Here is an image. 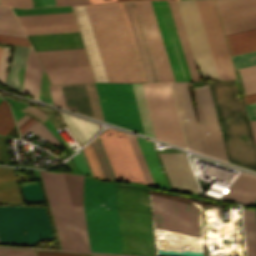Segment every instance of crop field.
<instances>
[{
	"label": "crop field",
	"mask_w": 256,
	"mask_h": 256,
	"mask_svg": "<svg viewBox=\"0 0 256 256\" xmlns=\"http://www.w3.org/2000/svg\"><path fill=\"white\" fill-rule=\"evenodd\" d=\"M114 188L123 254L155 256L148 190ZM114 188L85 177L83 203L91 251L122 254Z\"/></svg>",
	"instance_id": "crop-field-1"
},
{
	"label": "crop field",
	"mask_w": 256,
	"mask_h": 256,
	"mask_svg": "<svg viewBox=\"0 0 256 256\" xmlns=\"http://www.w3.org/2000/svg\"><path fill=\"white\" fill-rule=\"evenodd\" d=\"M86 6L109 81L142 82L118 4Z\"/></svg>",
	"instance_id": "crop-field-2"
},
{
	"label": "crop field",
	"mask_w": 256,
	"mask_h": 256,
	"mask_svg": "<svg viewBox=\"0 0 256 256\" xmlns=\"http://www.w3.org/2000/svg\"><path fill=\"white\" fill-rule=\"evenodd\" d=\"M171 85L188 148L227 162L208 85L192 88L198 123L186 82Z\"/></svg>",
	"instance_id": "crop-field-3"
},
{
	"label": "crop field",
	"mask_w": 256,
	"mask_h": 256,
	"mask_svg": "<svg viewBox=\"0 0 256 256\" xmlns=\"http://www.w3.org/2000/svg\"><path fill=\"white\" fill-rule=\"evenodd\" d=\"M210 86L230 162L256 170L252 132L235 81H219Z\"/></svg>",
	"instance_id": "crop-field-4"
},
{
	"label": "crop field",
	"mask_w": 256,
	"mask_h": 256,
	"mask_svg": "<svg viewBox=\"0 0 256 256\" xmlns=\"http://www.w3.org/2000/svg\"><path fill=\"white\" fill-rule=\"evenodd\" d=\"M40 173L62 248L90 251L83 206H72L62 173Z\"/></svg>",
	"instance_id": "crop-field-5"
},
{
	"label": "crop field",
	"mask_w": 256,
	"mask_h": 256,
	"mask_svg": "<svg viewBox=\"0 0 256 256\" xmlns=\"http://www.w3.org/2000/svg\"><path fill=\"white\" fill-rule=\"evenodd\" d=\"M118 4L142 81H164L140 2H120Z\"/></svg>",
	"instance_id": "crop-field-6"
},
{
	"label": "crop field",
	"mask_w": 256,
	"mask_h": 256,
	"mask_svg": "<svg viewBox=\"0 0 256 256\" xmlns=\"http://www.w3.org/2000/svg\"><path fill=\"white\" fill-rule=\"evenodd\" d=\"M142 85L155 137L186 147L169 83Z\"/></svg>",
	"instance_id": "crop-field-7"
},
{
	"label": "crop field",
	"mask_w": 256,
	"mask_h": 256,
	"mask_svg": "<svg viewBox=\"0 0 256 256\" xmlns=\"http://www.w3.org/2000/svg\"><path fill=\"white\" fill-rule=\"evenodd\" d=\"M95 84H96L104 120L106 122L114 123L121 126V119H122L123 127L125 122L126 128L143 133L132 85L121 84L123 111H124V122H123L120 84H119V91H120L121 119H120L118 84H106V83H95Z\"/></svg>",
	"instance_id": "crop-field-8"
},
{
	"label": "crop field",
	"mask_w": 256,
	"mask_h": 256,
	"mask_svg": "<svg viewBox=\"0 0 256 256\" xmlns=\"http://www.w3.org/2000/svg\"><path fill=\"white\" fill-rule=\"evenodd\" d=\"M188 44L203 77L218 79L194 1H175Z\"/></svg>",
	"instance_id": "crop-field-9"
},
{
	"label": "crop field",
	"mask_w": 256,
	"mask_h": 256,
	"mask_svg": "<svg viewBox=\"0 0 256 256\" xmlns=\"http://www.w3.org/2000/svg\"><path fill=\"white\" fill-rule=\"evenodd\" d=\"M221 80L235 78L227 44L213 0L195 1Z\"/></svg>",
	"instance_id": "crop-field-10"
},
{
	"label": "crop field",
	"mask_w": 256,
	"mask_h": 256,
	"mask_svg": "<svg viewBox=\"0 0 256 256\" xmlns=\"http://www.w3.org/2000/svg\"><path fill=\"white\" fill-rule=\"evenodd\" d=\"M99 136L119 179L146 184L126 134L107 129Z\"/></svg>",
	"instance_id": "crop-field-11"
},
{
	"label": "crop field",
	"mask_w": 256,
	"mask_h": 256,
	"mask_svg": "<svg viewBox=\"0 0 256 256\" xmlns=\"http://www.w3.org/2000/svg\"><path fill=\"white\" fill-rule=\"evenodd\" d=\"M176 81H191L167 1H151Z\"/></svg>",
	"instance_id": "crop-field-12"
},
{
	"label": "crop field",
	"mask_w": 256,
	"mask_h": 256,
	"mask_svg": "<svg viewBox=\"0 0 256 256\" xmlns=\"http://www.w3.org/2000/svg\"><path fill=\"white\" fill-rule=\"evenodd\" d=\"M154 200L160 229L199 232L196 205L156 197Z\"/></svg>",
	"instance_id": "crop-field-13"
},
{
	"label": "crop field",
	"mask_w": 256,
	"mask_h": 256,
	"mask_svg": "<svg viewBox=\"0 0 256 256\" xmlns=\"http://www.w3.org/2000/svg\"><path fill=\"white\" fill-rule=\"evenodd\" d=\"M95 81L109 82L85 5L72 6Z\"/></svg>",
	"instance_id": "crop-field-14"
},
{
	"label": "crop field",
	"mask_w": 256,
	"mask_h": 256,
	"mask_svg": "<svg viewBox=\"0 0 256 256\" xmlns=\"http://www.w3.org/2000/svg\"><path fill=\"white\" fill-rule=\"evenodd\" d=\"M159 155L173 189L201 194L183 152Z\"/></svg>",
	"instance_id": "crop-field-15"
},
{
	"label": "crop field",
	"mask_w": 256,
	"mask_h": 256,
	"mask_svg": "<svg viewBox=\"0 0 256 256\" xmlns=\"http://www.w3.org/2000/svg\"><path fill=\"white\" fill-rule=\"evenodd\" d=\"M42 66L33 50L30 48L26 61L23 92L38 98ZM54 105L65 107L60 85L48 86Z\"/></svg>",
	"instance_id": "crop-field-16"
},
{
	"label": "crop field",
	"mask_w": 256,
	"mask_h": 256,
	"mask_svg": "<svg viewBox=\"0 0 256 256\" xmlns=\"http://www.w3.org/2000/svg\"><path fill=\"white\" fill-rule=\"evenodd\" d=\"M218 12L225 34L256 28V3Z\"/></svg>",
	"instance_id": "crop-field-17"
},
{
	"label": "crop field",
	"mask_w": 256,
	"mask_h": 256,
	"mask_svg": "<svg viewBox=\"0 0 256 256\" xmlns=\"http://www.w3.org/2000/svg\"><path fill=\"white\" fill-rule=\"evenodd\" d=\"M27 37L35 51L83 48L78 32Z\"/></svg>",
	"instance_id": "crop-field-18"
},
{
	"label": "crop field",
	"mask_w": 256,
	"mask_h": 256,
	"mask_svg": "<svg viewBox=\"0 0 256 256\" xmlns=\"http://www.w3.org/2000/svg\"><path fill=\"white\" fill-rule=\"evenodd\" d=\"M165 81H175L150 1H140Z\"/></svg>",
	"instance_id": "crop-field-19"
},
{
	"label": "crop field",
	"mask_w": 256,
	"mask_h": 256,
	"mask_svg": "<svg viewBox=\"0 0 256 256\" xmlns=\"http://www.w3.org/2000/svg\"><path fill=\"white\" fill-rule=\"evenodd\" d=\"M36 53L43 68L88 65L83 49Z\"/></svg>",
	"instance_id": "crop-field-20"
},
{
	"label": "crop field",
	"mask_w": 256,
	"mask_h": 256,
	"mask_svg": "<svg viewBox=\"0 0 256 256\" xmlns=\"http://www.w3.org/2000/svg\"><path fill=\"white\" fill-rule=\"evenodd\" d=\"M223 199L252 205L256 199V176L241 171Z\"/></svg>",
	"instance_id": "crop-field-21"
},
{
	"label": "crop field",
	"mask_w": 256,
	"mask_h": 256,
	"mask_svg": "<svg viewBox=\"0 0 256 256\" xmlns=\"http://www.w3.org/2000/svg\"><path fill=\"white\" fill-rule=\"evenodd\" d=\"M51 84L93 82L88 66L45 69Z\"/></svg>",
	"instance_id": "crop-field-22"
},
{
	"label": "crop field",
	"mask_w": 256,
	"mask_h": 256,
	"mask_svg": "<svg viewBox=\"0 0 256 256\" xmlns=\"http://www.w3.org/2000/svg\"><path fill=\"white\" fill-rule=\"evenodd\" d=\"M59 113L64 123L66 124V126L71 131V133L73 134V136L79 144L87 141L100 128V126L89 121L61 112Z\"/></svg>",
	"instance_id": "crop-field-23"
},
{
	"label": "crop field",
	"mask_w": 256,
	"mask_h": 256,
	"mask_svg": "<svg viewBox=\"0 0 256 256\" xmlns=\"http://www.w3.org/2000/svg\"><path fill=\"white\" fill-rule=\"evenodd\" d=\"M0 202L22 203L12 168L0 167Z\"/></svg>",
	"instance_id": "crop-field-24"
},
{
	"label": "crop field",
	"mask_w": 256,
	"mask_h": 256,
	"mask_svg": "<svg viewBox=\"0 0 256 256\" xmlns=\"http://www.w3.org/2000/svg\"><path fill=\"white\" fill-rule=\"evenodd\" d=\"M136 139L138 141V144L143 153V156L145 158V161L148 165V168L151 172L155 184L158 186L169 188L159 167L160 164L157 159L152 143L138 137H136Z\"/></svg>",
	"instance_id": "crop-field-25"
},
{
	"label": "crop field",
	"mask_w": 256,
	"mask_h": 256,
	"mask_svg": "<svg viewBox=\"0 0 256 256\" xmlns=\"http://www.w3.org/2000/svg\"><path fill=\"white\" fill-rule=\"evenodd\" d=\"M230 53L256 50V29L226 35Z\"/></svg>",
	"instance_id": "crop-field-26"
},
{
	"label": "crop field",
	"mask_w": 256,
	"mask_h": 256,
	"mask_svg": "<svg viewBox=\"0 0 256 256\" xmlns=\"http://www.w3.org/2000/svg\"><path fill=\"white\" fill-rule=\"evenodd\" d=\"M22 26L75 22L72 12L17 16Z\"/></svg>",
	"instance_id": "crop-field-27"
},
{
	"label": "crop field",
	"mask_w": 256,
	"mask_h": 256,
	"mask_svg": "<svg viewBox=\"0 0 256 256\" xmlns=\"http://www.w3.org/2000/svg\"><path fill=\"white\" fill-rule=\"evenodd\" d=\"M192 81L199 80L174 1H168Z\"/></svg>",
	"instance_id": "crop-field-28"
},
{
	"label": "crop field",
	"mask_w": 256,
	"mask_h": 256,
	"mask_svg": "<svg viewBox=\"0 0 256 256\" xmlns=\"http://www.w3.org/2000/svg\"><path fill=\"white\" fill-rule=\"evenodd\" d=\"M132 85H133L143 129H144V133L148 136L155 138L149 113H148V109H147V105H146V101H145V97H144V93H143V89H142V85L141 84H132Z\"/></svg>",
	"instance_id": "crop-field-29"
},
{
	"label": "crop field",
	"mask_w": 256,
	"mask_h": 256,
	"mask_svg": "<svg viewBox=\"0 0 256 256\" xmlns=\"http://www.w3.org/2000/svg\"><path fill=\"white\" fill-rule=\"evenodd\" d=\"M28 48L15 46L11 66L7 78V84L21 90L17 81V70L26 59ZM22 91V90H21Z\"/></svg>",
	"instance_id": "crop-field-30"
},
{
	"label": "crop field",
	"mask_w": 256,
	"mask_h": 256,
	"mask_svg": "<svg viewBox=\"0 0 256 256\" xmlns=\"http://www.w3.org/2000/svg\"><path fill=\"white\" fill-rule=\"evenodd\" d=\"M26 35L78 31L75 23L23 27Z\"/></svg>",
	"instance_id": "crop-field-31"
},
{
	"label": "crop field",
	"mask_w": 256,
	"mask_h": 256,
	"mask_svg": "<svg viewBox=\"0 0 256 256\" xmlns=\"http://www.w3.org/2000/svg\"><path fill=\"white\" fill-rule=\"evenodd\" d=\"M95 150L97 152V155L99 157L100 163L102 165V168L104 170L105 176L107 179H113V180H119L114 168L108 158V155L103 147V144L99 138V136H97L96 138H94L92 140Z\"/></svg>",
	"instance_id": "crop-field-32"
},
{
	"label": "crop field",
	"mask_w": 256,
	"mask_h": 256,
	"mask_svg": "<svg viewBox=\"0 0 256 256\" xmlns=\"http://www.w3.org/2000/svg\"><path fill=\"white\" fill-rule=\"evenodd\" d=\"M70 190L73 205H82L83 176L64 174Z\"/></svg>",
	"instance_id": "crop-field-33"
},
{
	"label": "crop field",
	"mask_w": 256,
	"mask_h": 256,
	"mask_svg": "<svg viewBox=\"0 0 256 256\" xmlns=\"http://www.w3.org/2000/svg\"><path fill=\"white\" fill-rule=\"evenodd\" d=\"M89 165L93 176L97 178L106 179L99 163L98 157L94 150L92 142H90L85 148L82 149Z\"/></svg>",
	"instance_id": "crop-field-34"
},
{
	"label": "crop field",
	"mask_w": 256,
	"mask_h": 256,
	"mask_svg": "<svg viewBox=\"0 0 256 256\" xmlns=\"http://www.w3.org/2000/svg\"><path fill=\"white\" fill-rule=\"evenodd\" d=\"M245 93L256 92V66L239 69Z\"/></svg>",
	"instance_id": "crop-field-35"
},
{
	"label": "crop field",
	"mask_w": 256,
	"mask_h": 256,
	"mask_svg": "<svg viewBox=\"0 0 256 256\" xmlns=\"http://www.w3.org/2000/svg\"><path fill=\"white\" fill-rule=\"evenodd\" d=\"M32 131L35 134L39 135L43 139L47 140L48 142L52 143L53 145L59 147L61 144H59L55 138L48 132V130L42 125L41 122L36 121L34 124H32L26 131H24L21 136L26 134L28 131Z\"/></svg>",
	"instance_id": "crop-field-36"
},
{
	"label": "crop field",
	"mask_w": 256,
	"mask_h": 256,
	"mask_svg": "<svg viewBox=\"0 0 256 256\" xmlns=\"http://www.w3.org/2000/svg\"><path fill=\"white\" fill-rule=\"evenodd\" d=\"M235 69L256 64V51L231 56Z\"/></svg>",
	"instance_id": "crop-field-37"
},
{
	"label": "crop field",
	"mask_w": 256,
	"mask_h": 256,
	"mask_svg": "<svg viewBox=\"0 0 256 256\" xmlns=\"http://www.w3.org/2000/svg\"><path fill=\"white\" fill-rule=\"evenodd\" d=\"M0 34L26 38L19 23L1 21Z\"/></svg>",
	"instance_id": "crop-field-38"
},
{
	"label": "crop field",
	"mask_w": 256,
	"mask_h": 256,
	"mask_svg": "<svg viewBox=\"0 0 256 256\" xmlns=\"http://www.w3.org/2000/svg\"><path fill=\"white\" fill-rule=\"evenodd\" d=\"M12 9L15 15L72 11L70 6L50 7V8H32V9H17V8H12Z\"/></svg>",
	"instance_id": "crop-field-39"
},
{
	"label": "crop field",
	"mask_w": 256,
	"mask_h": 256,
	"mask_svg": "<svg viewBox=\"0 0 256 256\" xmlns=\"http://www.w3.org/2000/svg\"><path fill=\"white\" fill-rule=\"evenodd\" d=\"M217 9H225L234 6L254 3L256 0H215Z\"/></svg>",
	"instance_id": "crop-field-40"
},
{
	"label": "crop field",
	"mask_w": 256,
	"mask_h": 256,
	"mask_svg": "<svg viewBox=\"0 0 256 256\" xmlns=\"http://www.w3.org/2000/svg\"><path fill=\"white\" fill-rule=\"evenodd\" d=\"M9 48L3 47L0 58V81L5 83L6 70L9 59Z\"/></svg>",
	"instance_id": "crop-field-41"
},
{
	"label": "crop field",
	"mask_w": 256,
	"mask_h": 256,
	"mask_svg": "<svg viewBox=\"0 0 256 256\" xmlns=\"http://www.w3.org/2000/svg\"><path fill=\"white\" fill-rule=\"evenodd\" d=\"M0 43L31 47L27 39L2 36V35H0Z\"/></svg>",
	"instance_id": "crop-field-42"
},
{
	"label": "crop field",
	"mask_w": 256,
	"mask_h": 256,
	"mask_svg": "<svg viewBox=\"0 0 256 256\" xmlns=\"http://www.w3.org/2000/svg\"><path fill=\"white\" fill-rule=\"evenodd\" d=\"M0 256H36V254L35 252L0 249Z\"/></svg>",
	"instance_id": "crop-field-43"
},
{
	"label": "crop field",
	"mask_w": 256,
	"mask_h": 256,
	"mask_svg": "<svg viewBox=\"0 0 256 256\" xmlns=\"http://www.w3.org/2000/svg\"><path fill=\"white\" fill-rule=\"evenodd\" d=\"M0 19L17 22V20H16L15 16L13 15L11 9L6 8V7H0Z\"/></svg>",
	"instance_id": "crop-field-44"
},
{
	"label": "crop field",
	"mask_w": 256,
	"mask_h": 256,
	"mask_svg": "<svg viewBox=\"0 0 256 256\" xmlns=\"http://www.w3.org/2000/svg\"><path fill=\"white\" fill-rule=\"evenodd\" d=\"M23 110H25V111H27V112H29V113H31V114H33V115H35V116H37V117L43 119V120H44L46 117H48L47 114L43 113V112L40 111L39 109H37V108H35V107H33V106H30V105L26 106Z\"/></svg>",
	"instance_id": "crop-field-45"
},
{
	"label": "crop field",
	"mask_w": 256,
	"mask_h": 256,
	"mask_svg": "<svg viewBox=\"0 0 256 256\" xmlns=\"http://www.w3.org/2000/svg\"><path fill=\"white\" fill-rule=\"evenodd\" d=\"M250 121L256 120V103L245 105Z\"/></svg>",
	"instance_id": "crop-field-46"
},
{
	"label": "crop field",
	"mask_w": 256,
	"mask_h": 256,
	"mask_svg": "<svg viewBox=\"0 0 256 256\" xmlns=\"http://www.w3.org/2000/svg\"><path fill=\"white\" fill-rule=\"evenodd\" d=\"M56 5L64 4H89L88 0H55Z\"/></svg>",
	"instance_id": "crop-field-47"
},
{
	"label": "crop field",
	"mask_w": 256,
	"mask_h": 256,
	"mask_svg": "<svg viewBox=\"0 0 256 256\" xmlns=\"http://www.w3.org/2000/svg\"><path fill=\"white\" fill-rule=\"evenodd\" d=\"M38 256H91V255H75V254H59V253H43L37 252Z\"/></svg>",
	"instance_id": "crop-field-48"
},
{
	"label": "crop field",
	"mask_w": 256,
	"mask_h": 256,
	"mask_svg": "<svg viewBox=\"0 0 256 256\" xmlns=\"http://www.w3.org/2000/svg\"><path fill=\"white\" fill-rule=\"evenodd\" d=\"M245 104L256 102V93L243 96Z\"/></svg>",
	"instance_id": "crop-field-49"
},
{
	"label": "crop field",
	"mask_w": 256,
	"mask_h": 256,
	"mask_svg": "<svg viewBox=\"0 0 256 256\" xmlns=\"http://www.w3.org/2000/svg\"><path fill=\"white\" fill-rule=\"evenodd\" d=\"M250 124L253 132L254 141L256 143V121H252L250 122Z\"/></svg>",
	"instance_id": "crop-field-50"
},
{
	"label": "crop field",
	"mask_w": 256,
	"mask_h": 256,
	"mask_svg": "<svg viewBox=\"0 0 256 256\" xmlns=\"http://www.w3.org/2000/svg\"><path fill=\"white\" fill-rule=\"evenodd\" d=\"M30 116L28 115H24L22 118H20L16 123H17V127H19L21 124H23L27 119H29Z\"/></svg>",
	"instance_id": "crop-field-51"
},
{
	"label": "crop field",
	"mask_w": 256,
	"mask_h": 256,
	"mask_svg": "<svg viewBox=\"0 0 256 256\" xmlns=\"http://www.w3.org/2000/svg\"><path fill=\"white\" fill-rule=\"evenodd\" d=\"M90 4H94V3H105V2H113L116 0H89Z\"/></svg>",
	"instance_id": "crop-field-52"
},
{
	"label": "crop field",
	"mask_w": 256,
	"mask_h": 256,
	"mask_svg": "<svg viewBox=\"0 0 256 256\" xmlns=\"http://www.w3.org/2000/svg\"><path fill=\"white\" fill-rule=\"evenodd\" d=\"M43 6L55 5L54 0H42Z\"/></svg>",
	"instance_id": "crop-field-53"
},
{
	"label": "crop field",
	"mask_w": 256,
	"mask_h": 256,
	"mask_svg": "<svg viewBox=\"0 0 256 256\" xmlns=\"http://www.w3.org/2000/svg\"><path fill=\"white\" fill-rule=\"evenodd\" d=\"M33 7L42 6L41 0H32Z\"/></svg>",
	"instance_id": "crop-field-54"
},
{
	"label": "crop field",
	"mask_w": 256,
	"mask_h": 256,
	"mask_svg": "<svg viewBox=\"0 0 256 256\" xmlns=\"http://www.w3.org/2000/svg\"><path fill=\"white\" fill-rule=\"evenodd\" d=\"M36 121V119H34L32 122H30L24 129H22L20 131V133H22L24 130H26L32 123H34Z\"/></svg>",
	"instance_id": "crop-field-55"
},
{
	"label": "crop field",
	"mask_w": 256,
	"mask_h": 256,
	"mask_svg": "<svg viewBox=\"0 0 256 256\" xmlns=\"http://www.w3.org/2000/svg\"><path fill=\"white\" fill-rule=\"evenodd\" d=\"M1 49H2V47H0V53H1Z\"/></svg>",
	"instance_id": "crop-field-56"
},
{
	"label": "crop field",
	"mask_w": 256,
	"mask_h": 256,
	"mask_svg": "<svg viewBox=\"0 0 256 256\" xmlns=\"http://www.w3.org/2000/svg\"><path fill=\"white\" fill-rule=\"evenodd\" d=\"M117 1H125V0H117Z\"/></svg>",
	"instance_id": "crop-field-57"
},
{
	"label": "crop field",
	"mask_w": 256,
	"mask_h": 256,
	"mask_svg": "<svg viewBox=\"0 0 256 256\" xmlns=\"http://www.w3.org/2000/svg\"><path fill=\"white\" fill-rule=\"evenodd\" d=\"M254 204H256V201L254 202Z\"/></svg>",
	"instance_id": "crop-field-58"
},
{
	"label": "crop field",
	"mask_w": 256,
	"mask_h": 256,
	"mask_svg": "<svg viewBox=\"0 0 256 256\" xmlns=\"http://www.w3.org/2000/svg\"><path fill=\"white\" fill-rule=\"evenodd\" d=\"M2 99L0 98V101H1Z\"/></svg>",
	"instance_id": "crop-field-59"
}]
</instances>
